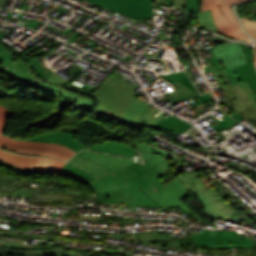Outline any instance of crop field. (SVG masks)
<instances>
[{
  "instance_id": "8a807250",
  "label": "crop field",
  "mask_w": 256,
  "mask_h": 256,
  "mask_svg": "<svg viewBox=\"0 0 256 256\" xmlns=\"http://www.w3.org/2000/svg\"><path fill=\"white\" fill-rule=\"evenodd\" d=\"M133 146L136 147L142 155L144 164L140 165L148 174L152 185L150 190H140L148 195L160 207H180L186 210L188 214L198 221L200 218L180 201L181 199L186 198L189 193L178 177L172 179L165 185L162 182H158V179L169 170V162L166 159L170 158L176 164L175 168L177 170L174 171L173 174H180L185 171L180 167L184 165V163L178 158L174 157L172 154L152 148L150 146L137 143Z\"/></svg>"
},
{
  "instance_id": "ac0d7876",
  "label": "crop field",
  "mask_w": 256,
  "mask_h": 256,
  "mask_svg": "<svg viewBox=\"0 0 256 256\" xmlns=\"http://www.w3.org/2000/svg\"><path fill=\"white\" fill-rule=\"evenodd\" d=\"M0 73L29 87L38 89L42 92L53 94L57 97H67L76 103L72 106L75 109L91 110L93 102L87 97H83L64 89L51 86L31 73L27 65L16 59L9 53L0 52Z\"/></svg>"
},
{
  "instance_id": "34b2d1b8",
  "label": "crop field",
  "mask_w": 256,
  "mask_h": 256,
  "mask_svg": "<svg viewBox=\"0 0 256 256\" xmlns=\"http://www.w3.org/2000/svg\"><path fill=\"white\" fill-rule=\"evenodd\" d=\"M93 96L98 102L97 114L117 121L137 95L130 83L116 71Z\"/></svg>"
},
{
  "instance_id": "412701ff",
  "label": "crop field",
  "mask_w": 256,
  "mask_h": 256,
  "mask_svg": "<svg viewBox=\"0 0 256 256\" xmlns=\"http://www.w3.org/2000/svg\"><path fill=\"white\" fill-rule=\"evenodd\" d=\"M14 112L0 105V147L10 152L39 155V156H53L55 158L67 161L75 152L71 151L65 146L40 142H29L21 140H13L8 136L2 135L6 119Z\"/></svg>"
},
{
  "instance_id": "f4fd0767",
  "label": "crop field",
  "mask_w": 256,
  "mask_h": 256,
  "mask_svg": "<svg viewBox=\"0 0 256 256\" xmlns=\"http://www.w3.org/2000/svg\"><path fill=\"white\" fill-rule=\"evenodd\" d=\"M133 207H159L138 188L151 187L145 171L137 163L109 175Z\"/></svg>"
},
{
  "instance_id": "dd49c442",
  "label": "crop field",
  "mask_w": 256,
  "mask_h": 256,
  "mask_svg": "<svg viewBox=\"0 0 256 256\" xmlns=\"http://www.w3.org/2000/svg\"><path fill=\"white\" fill-rule=\"evenodd\" d=\"M212 71L220 86L226 93V99L222 103L249 121V118L256 120V94L250 88L248 82L230 86L220 71H217L212 63L205 67V73ZM254 124V123H253Z\"/></svg>"
},
{
  "instance_id": "e52e79f7",
  "label": "crop field",
  "mask_w": 256,
  "mask_h": 256,
  "mask_svg": "<svg viewBox=\"0 0 256 256\" xmlns=\"http://www.w3.org/2000/svg\"><path fill=\"white\" fill-rule=\"evenodd\" d=\"M187 190H191L199 200L203 203L204 213L212 220L218 217L225 219L226 222L232 213H236L235 208L225 201L212 186L206 188L201 180L192 176L191 173L185 171L179 175Z\"/></svg>"
},
{
  "instance_id": "d8731c3e",
  "label": "crop field",
  "mask_w": 256,
  "mask_h": 256,
  "mask_svg": "<svg viewBox=\"0 0 256 256\" xmlns=\"http://www.w3.org/2000/svg\"><path fill=\"white\" fill-rule=\"evenodd\" d=\"M68 162L85 169L98 179L135 163L127 158L90 151H80Z\"/></svg>"
},
{
  "instance_id": "5a996713",
  "label": "crop field",
  "mask_w": 256,
  "mask_h": 256,
  "mask_svg": "<svg viewBox=\"0 0 256 256\" xmlns=\"http://www.w3.org/2000/svg\"><path fill=\"white\" fill-rule=\"evenodd\" d=\"M244 0H202L201 11L211 9L219 33L240 40L252 42L241 29V26L231 10V6Z\"/></svg>"
},
{
  "instance_id": "3316defc",
  "label": "crop field",
  "mask_w": 256,
  "mask_h": 256,
  "mask_svg": "<svg viewBox=\"0 0 256 256\" xmlns=\"http://www.w3.org/2000/svg\"><path fill=\"white\" fill-rule=\"evenodd\" d=\"M127 17L146 19L153 17V5L130 0H86Z\"/></svg>"
},
{
  "instance_id": "28ad6ade",
  "label": "crop field",
  "mask_w": 256,
  "mask_h": 256,
  "mask_svg": "<svg viewBox=\"0 0 256 256\" xmlns=\"http://www.w3.org/2000/svg\"><path fill=\"white\" fill-rule=\"evenodd\" d=\"M6 239H0V256H35L53 255V256H75L76 252L72 249H66L67 244L57 243L50 246L7 248L5 247Z\"/></svg>"
},
{
  "instance_id": "d1516ede",
  "label": "crop field",
  "mask_w": 256,
  "mask_h": 256,
  "mask_svg": "<svg viewBox=\"0 0 256 256\" xmlns=\"http://www.w3.org/2000/svg\"><path fill=\"white\" fill-rule=\"evenodd\" d=\"M256 245L248 238L231 231H211L210 248H252Z\"/></svg>"
},
{
  "instance_id": "22f410ed",
  "label": "crop field",
  "mask_w": 256,
  "mask_h": 256,
  "mask_svg": "<svg viewBox=\"0 0 256 256\" xmlns=\"http://www.w3.org/2000/svg\"><path fill=\"white\" fill-rule=\"evenodd\" d=\"M211 53L219 58L224 68L234 67L245 63L244 52L242 48L235 43L215 46Z\"/></svg>"
},
{
  "instance_id": "cbeb9de0",
  "label": "crop field",
  "mask_w": 256,
  "mask_h": 256,
  "mask_svg": "<svg viewBox=\"0 0 256 256\" xmlns=\"http://www.w3.org/2000/svg\"><path fill=\"white\" fill-rule=\"evenodd\" d=\"M221 72L230 85L248 81L251 88L256 93V68L253 62L242 66L225 69Z\"/></svg>"
},
{
  "instance_id": "5142ce71",
  "label": "crop field",
  "mask_w": 256,
  "mask_h": 256,
  "mask_svg": "<svg viewBox=\"0 0 256 256\" xmlns=\"http://www.w3.org/2000/svg\"><path fill=\"white\" fill-rule=\"evenodd\" d=\"M92 184L97 188V190L103 195L105 199H98L95 201L103 202V203H114L121 202L129 207L132 205L129 201L124 197V195L120 192L114 182H112L108 176L92 182Z\"/></svg>"
},
{
  "instance_id": "d9b57169",
  "label": "crop field",
  "mask_w": 256,
  "mask_h": 256,
  "mask_svg": "<svg viewBox=\"0 0 256 256\" xmlns=\"http://www.w3.org/2000/svg\"><path fill=\"white\" fill-rule=\"evenodd\" d=\"M35 58L37 57H33L30 58L27 61V63L30 65V67L33 69V71L35 73H37L39 76H41L44 80L56 84V85H60L62 87H64L65 85H67L68 82H70L71 80H73L76 76H78L81 72H83V70L79 69L76 72L72 71L71 69H66L67 74L71 75L72 77L70 79H68L67 81L64 80L63 78L59 77L58 75H56L54 71L50 70L49 68H47L46 66L42 65L38 60H36Z\"/></svg>"
},
{
  "instance_id": "733c2abd",
  "label": "crop field",
  "mask_w": 256,
  "mask_h": 256,
  "mask_svg": "<svg viewBox=\"0 0 256 256\" xmlns=\"http://www.w3.org/2000/svg\"><path fill=\"white\" fill-rule=\"evenodd\" d=\"M0 159L14 166L32 171L38 169L47 160L46 157L21 156L1 150Z\"/></svg>"
},
{
  "instance_id": "4a817a6b",
  "label": "crop field",
  "mask_w": 256,
  "mask_h": 256,
  "mask_svg": "<svg viewBox=\"0 0 256 256\" xmlns=\"http://www.w3.org/2000/svg\"><path fill=\"white\" fill-rule=\"evenodd\" d=\"M140 241L143 243H158V244H169L174 246H187L194 247L195 245L191 238H173L171 234L159 233V232H146L139 235ZM156 240V242H152ZM196 249V248H195Z\"/></svg>"
},
{
  "instance_id": "bc2a9ffb",
  "label": "crop field",
  "mask_w": 256,
  "mask_h": 256,
  "mask_svg": "<svg viewBox=\"0 0 256 256\" xmlns=\"http://www.w3.org/2000/svg\"><path fill=\"white\" fill-rule=\"evenodd\" d=\"M29 141L57 143V144L65 145L76 152L79 149H87L75 140L73 134L67 133V132H55L51 134H45V135L37 136L33 139H29Z\"/></svg>"
},
{
  "instance_id": "214f88e0",
  "label": "crop field",
  "mask_w": 256,
  "mask_h": 256,
  "mask_svg": "<svg viewBox=\"0 0 256 256\" xmlns=\"http://www.w3.org/2000/svg\"><path fill=\"white\" fill-rule=\"evenodd\" d=\"M192 127H194V126H192V125H190L172 115L167 116V118H164L160 122L151 126V128H154V129L179 132V133H183Z\"/></svg>"
},
{
  "instance_id": "92a150f3",
  "label": "crop field",
  "mask_w": 256,
  "mask_h": 256,
  "mask_svg": "<svg viewBox=\"0 0 256 256\" xmlns=\"http://www.w3.org/2000/svg\"><path fill=\"white\" fill-rule=\"evenodd\" d=\"M147 105L148 102L134 99L125 110V112L122 114V116L119 118L118 122L127 123L132 126Z\"/></svg>"
},
{
  "instance_id": "dafd665d",
  "label": "crop field",
  "mask_w": 256,
  "mask_h": 256,
  "mask_svg": "<svg viewBox=\"0 0 256 256\" xmlns=\"http://www.w3.org/2000/svg\"><path fill=\"white\" fill-rule=\"evenodd\" d=\"M90 150H97V151H104V152H108V153H112V154H119L122 156H127L130 157L133 155V152L135 151V149H133L132 147L126 146V145H122V144H118L115 142H105L102 144H97L93 147L88 148Z\"/></svg>"
},
{
  "instance_id": "00972430",
  "label": "crop field",
  "mask_w": 256,
  "mask_h": 256,
  "mask_svg": "<svg viewBox=\"0 0 256 256\" xmlns=\"http://www.w3.org/2000/svg\"><path fill=\"white\" fill-rule=\"evenodd\" d=\"M56 173L68 175L86 184L96 180L89 173L67 163Z\"/></svg>"
},
{
  "instance_id": "a9b5d70f",
  "label": "crop field",
  "mask_w": 256,
  "mask_h": 256,
  "mask_svg": "<svg viewBox=\"0 0 256 256\" xmlns=\"http://www.w3.org/2000/svg\"><path fill=\"white\" fill-rule=\"evenodd\" d=\"M198 30L218 32L210 10L198 13Z\"/></svg>"
},
{
  "instance_id": "4177f3b9",
  "label": "crop field",
  "mask_w": 256,
  "mask_h": 256,
  "mask_svg": "<svg viewBox=\"0 0 256 256\" xmlns=\"http://www.w3.org/2000/svg\"><path fill=\"white\" fill-rule=\"evenodd\" d=\"M65 162L56 160L54 158H49L38 170L33 174H51L58 171Z\"/></svg>"
},
{
  "instance_id": "730fd06b",
  "label": "crop field",
  "mask_w": 256,
  "mask_h": 256,
  "mask_svg": "<svg viewBox=\"0 0 256 256\" xmlns=\"http://www.w3.org/2000/svg\"><path fill=\"white\" fill-rule=\"evenodd\" d=\"M175 8L187 10L186 13L199 12L200 0H175Z\"/></svg>"
},
{
  "instance_id": "eef30255",
  "label": "crop field",
  "mask_w": 256,
  "mask_h": 256,
  "mask_svg": "<svg viewBox=\"0 0 256 256\" xmlns=\"http://www.w3.org/2000/svg\"><path fill=\"white\" fill-rule=\"evenodd\" d=\"M179 82H181L182 84H184L185 86H187L188 88H190L191 90H193L194 92L197 93L196 89L194 88V86L192 85V83L190 82V80L188 79V77L182 78ZM198 94V93H197ZM198 100L197 103H195L194 105H192L191 107L194 108L195 106H197L198 104L204 102L207 105L210 104V100H212L211 96L209 94L204 95V96H198L196 97ZM191 108V109H192ZM190 110V109H189Z\"/></svg>"
},
{
  "instance_id": "ae1a2a85",
  "label": "crop field",
  "mask_w": 256,
  "mask_h": 256,
  "mask_svg": "<svg viewBox=\"0 0 256 256\" xmlns=\"http://www.w3.org/2000/svg\"><path fill=\"white\" fill-rule=\"evenodd\" d=\"M209 231L207 229H204L202 234L199 236L191 235L195 245L200 247H209Z\"/></svg>"
},
{
  "instance_id": "d3111659",
  "label": "crop field",
  "mask_w": 256,
  "mask_h": 256,
  "mask_svg": "<svg viewBox=\"0 0 256 256\" xmlns=\"http://www.w3.org/2000/svg\"><path fill=\"white\" fill-rule=\"evenodd\" d=\"M217 110H219V109H217ZM219 111L222 112V113H224V112L221 111V110H219ZM224 114H225V116H226L227 118L224 119V121H222V122H221L219 119H216L215 117H213L211 114L209 115V116H211L212 118H214L215 120H217V121L220 122L219 124H217V125H215L214 127H212V128H214V129H216L217 132H219V131H221V130L227 128L228 126H230V125L236 123V121H235L233 118H231V117H230L229 115H227L226 113H224Z\"/></svg>"
},
{
  "instance_id": "750c4746",
  "label": "crop field",
  "mask_w": 256,
  "mask_h": 256,
  "mask_svg": "<svg viewBox=\"0 0 256 256\" xmlns=\"http://www.w3.org/2000/svg\"><path fill=\"white\" fill-rule=\"evenodd\" d=\"M243 25L245 27V29L247 30V32L253 36L254 38H256V23L249 21L247 19H242ZM255 49V65H256V47H254Z\"/></svg>"
},
{
  "instance_id": "bd1437ed",
  "label": "crop field",
  "mask_w": 256,
  "mask_h": 256,
  "mask_svg": "<svg viewBox=\"0 0 256 256\" xmlns=\"http://www.w3.org/2000/svg\"><path fill=\"white\" fill-rule=\"evenodd\" d=\"M0 235H7V236H31V235H21V234H16V233H11L7 231L0 230ZM32 239H60L62 240L63 238H58V237H48V236H32Z\"/></svg>"
},
{
  "instance_id": "1d83c4d3",
  "label": "crop field",
  "mask_w": 256,
  "mask_h": 256,
  "mask_svg": "<svg viewBox=\"0 0 256 256\" xmlns=\"http://www.w3.org/2000/svg\"><path fill=\"white\" fill-rule=\"evenodd\" d=\"M166 113L164 112H161V114L153 119V120H149V119H146L144 118V120L142 121V123L138 126V127H150L151 125H153L154 123L158 122L159 120H161L162 118H164L163 116L165 115Z\"/></svg>"
},
{
  "instance_id": "120bbe31",
  "label": "crop field",
  "mask_w": 256,
  "mask_h": 256,
  "mask_svg": "<svg viewBox=\"0 0 256 256\" xmlns=\"http://www.w3.org/2000/svg\"><path fill=\"white\" fill-rule=\"evenodd\" d=\"M239 44V43H238ZM245 51V56H246V63L252 61L253 57V49L249 46L239 44Z\"/></svg>"
},
{
  "instance_id": "d32e631a",
  "label": "crop field",
  "mask_w": 256,
  "mask_h": 256,
  "mask_svg": "<svg viewBox=\"0 0 256 256\" xmlns=\"http://www.w3.org/2000/svg\"><path fill=\"white\" fill-rule=\"evenodd\" d=\"M168 95H169V96H167V97H168L169 99H171L172 101H173L174 99H176L178 96L181 97V98L184 99V100H185L187 97H189V96H187L186 94H184L182 91H180L179 89H177V90H175V91L169 93Z\"/></svg>"
},
{
  "instance_id": "5866460e",
  "label": "crop field",
  "mask_w": 256,
  "mask_h": 256,
  "mask_svg": "<svg viewBox=\"0 0 256 256\" xmlns=\"http://www.w3.org/2000/svg\"><path fill=\"white\" fill-rule=\"evenodd\" d=\"M18 25L34 29L38 25V23L29 20H20Z\"/></svg>"
},
{
  "instance_id": "028f5c9d",
  "label": "crop field",
  "mask_w": 256,
  "mask_h": 256,
  "mask_svg": "<svg viewBox=\"0 0 256 256\" xmlns=\"http://www.w3.org/2000/svg\"><path fill=\"white\" fill-rule=\"evenodd\" d=\"M210 61L215 65V67L218 69V70H221V69H224L220 63V61L218 60V58L212 56V57H209Z\"/></svg>"
},
{
  "instance_id": "e1f06a70",
  "label": "crop field",
  "mask_w": 256,
  "mask_h": 256,
  "mask_svg": "<svg viewBox=\"0 0 256 256\" xmlns=\"http://www.w3.org/2000/svg\"><path fill=\"white\" fill-rule=\"evenodd\" d=\"M4 36H5V34H3V33L0 32V41H1L5 46H7L13 53H15L17 56H19V55H20V54H18L19 52L17 53L15 49H13V48H12L11 46H9L7 43H5L4 41L1 40ZM21 58H23V59L26 60V58H24L22 55H21Z\"/></svg>"
},
{
  "instance_id": "0bd39190",
  "label": "crop field",
  "mask_w": 256,
  "mask_h": 256,
  "mask_svg": "<svg viewBox=\"0 0 256 256\" xmlns=\"http://www.w3.org/2000/svg\"><path fill=\"white\" fill-rule=\"evenodd\" d=\"M0 162H2V161H0ZM2 163H4V162H2ZM4 164H6V163H4ZM6 165H8V166H10V167H12V168H14V169H17V170L23 171V172H25V173H33L32 171L23 170V169H20V168H17V167L11 166V165H9V164H6Z\"/></svg>"
},
{
  "instance_id": "b80d0937",
  "label": "crop field",
  "mask_w": 256,
  "mask_h": 256,
  "mask_svg": "<svg viewBox=\"0 0 256 256\" xmlns=\"http://www.w3.org/2000/svg\"><path fill=\"white\" fill-rule=\"evenodd\" d=\"M158 2H164V3H166V4H169V5H171V6H173V0H157Z\"/></svg>"
},
{
  "instance_id": "c035e120",
  "label": "crop field",
  "mask_w": 256,
  "mask_h": 256,
  "mask_svg": "<svg viewBox=\"0 0 256 256\" xmlns=\"http://www.w3.org/2000/svg\"><path fill=\"white\" fill-rule=\"evenodd\" d=\"M80 33H76V34H74L71 38H70V40L68 41L69 43H71V42H73L74 40H75V38L79 35Z\"/></svg>"
},
{
  "instance_id": "c21b1889",
  "label": "crop field",
  "mask_w": 256,
  "mask_h": 256,
  "mask_svg": "<svg viewBox=\"0 0 256 256\" xmlns=\"http://www.w3.org/2000/svg\"><path fill=\"white\" fill-rule=\"evenodd\" d=\"M135 1H140V2H145V3H152L151 0H135Z\"/></svg>"
},
{
  "instance_id": "03da06ac",
  "label": "crop field",
  "mask_w": 256,
  "mask_h": 256,
  "mask_svg": "<svg viewBox=\"0 0 256 256\" xmlns=\"http://www.w3.org/2000/svg\"><path fill=\"white\" fill-rule=\"evenodd\" d=\"M0 51L7 52V50H5L4 47H2L1 45H0Z\"/></svg>"
},
{
  "instance_id": "b54c1fbb",
  "label": "crop field",
  "mask_w": 256,
  "mask_h": 256,
  "mask_svg": "<svg viewBox=\"0 0 256 256\" xmlns=\"http://www.w3.org/2000/svg\"><path fill=\"white\" fill-rule=\"evenodd\" d=\"M70 31H72V29H70V28H68V30L67 31H65V33H69Z\"/></svg>"
},
{
  "instance_id": "5d738f31",
  "label": "crop field",
  "mask_w": 256,
  "mask_h": 256,
  "mask_svg": "<svg viewBox=\"0 0 256 256\" xmlns=\"http://www.w3.org/2000/svg\"><path fill=\"white\" fill-rule=\"evenodd\" d=\"M12 14H13V13L9 12L7 16H8V17H11V16H12Z\"/></svg>"
},
{
  "instance_id": "d23c7cc5",
  "label": "crop field",
  "mask_w": 256,
  "mask_h": 256,
  "mask_svg": "<svg viewBox=\"0 0 256 256\" xmlns=\"http://www.w3.org/2000/svg\"><path fill=\"white\" fill-rule=\"evenodd\" d=\"M3 2V0H0V4Z\"/></svg>"
},
{
  "instance_id": "425ffa30",
  "label": "crop field",
  "mask_w": 256,
  "mask_h": 256,
  "mask_svg": "<svg viewBox=\"0 0 256 256\" xmlns=\"http://www.w3.org/2000/svg\"><path fill=\"white\" fill-rule=\"evenodd\" d=\"M208 93V92H207ZM203 94H205V93H203ZM212 95V94H211ZM213 96V95H212ZM214 97V96H213Z\"/></svg>"
},
{
  "instance_id": "25e5ab78",
  "label": "crop field",
  "mask_w": 256,
  "mask_h": 256,
  "mask_svg": "<svg viewBox=\"0 0 256 256\" xmlns=\"http://www.w3.org/2000/svg\"><path fill=\"white\" fill-rule=\"evenodd\" d=\"M255 105H256V103H255Z\"/></svg>"
},
{
  "instance_id": "73cf0c24",
  "label": "crop field",
  "mask_w": 256,
  "mask_h": 256,
  "mask_svg": "<svg viewBox=\"0 0 256 256\" xmlns=\"http://www.w3.org/2000/svg\"><path fill=\"white\" fill-rule=\"evenodd\" d=\"M155 1V0H154Z\"/></svg>"
}]
</instances>
